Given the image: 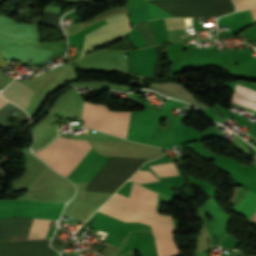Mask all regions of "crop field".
I'll return each mask as SVG.
<instances>
[{"label":"crop field","mask_w":256,"mask_h":256,"mask_svg":"<svg viewBox=\"0 0 256 256\" xmlns=\"http://www.w3.org/2000/svg\"><path fill=\"white\" fill-rule=\"evenodd\" d=\"M106 21L108 22L107 24L85 35V43L81 55L106 42L122 38L131 30L127 13L111 17Z\"/></svg>","instance_id":"412701ff"},{"label":"crop field","mask_w":256,"mask_h":256,"mask_svg":"<svg viewBox=\"0 0 256 256\" xmlns=\"http://www.w3.org/2000/svg\"><path fill=\"white\" fill-rule=\"evenodd\" d=\"M50 240L0 243V256H53Z\"/></svg>","instance_id":"f4fd0767"},{"label":"crop field","mask_w":256,"mask_h":256,"mask_svg":"<svg viewBox=\"0 0 256 256\" xmlns=\"http://www.w3.org/2000/svg\"><path fill=\"white\" fill-rule=\"evenodd\" d=\"M251 12H252V15H253L254 22L256 23V8L251 9Z\"/></svg>","instance_id":"214f88e0"},{"label":"crop field","mask_w":256,"mask_h":256,"mask_svg":"<svg viewBox=\"0 0 256 256\" xmlns=\"http://www.w3.org/2000/svg\"><path fill=\"white\" fill-rule=\"evenodd\" d=\"M164 20L167 30L186 29L184 18H166Z\"/></svg>","instance_id":"cbeb9de0"},{"label":"crop field","mask_w":256,"mask_h":256,"mask_svg":"<svg viewBox=\"0 0 256 256\" xmlns=\"http://www.w3.org/2000/svg\"><path fill=\"white\" fill-rule=\"evenodd\" d=\"M33 91L18 81H13L2 92L3 96L14 102L20 107L26 109Z\"/></svg>","instance_id":"e52e79f7"},{"label":"crop field","mask_w":256,"mask_h":256,"mask_svg":"<svg viewBox=\"0 0 256 256\" xmlns=\"http://www.w3.org/2000/svg\"><path fill=\"white\" fill-rule=\"evenodd\" d=\"M234 94V93H233ZM240 97V96H239ZM235 95L232 96V100L231 102L233 103H236V104H239L245 108H248V109H251V110H254L256 111V104L252 103V102H249L247 100H244L242 98H239Z\"/></svg>","instance_id":"d9b57169"},{"label":"crop field","mask_w":256,"mask_h":256,"mask_svg":"<svg viewBox=\"0 0 256 256\" xmlns=\"http://www.w3.org/2000/svg\"><path fill=\"white\" fill-rule=\"evenodd\" d=\"M249 190V189H248ZM247 190V191H248ZM253 192H251L250 190L247 192V194L242 198V200L237 204V206L234 208L236 210V212L238 213L239 210L242 208V206L245 204V202L248 200V198L251 196ZM256 212V193H253L252 196L249 198V200L246 202V204L243 206V208L240 210V214L244 215L245 217L249 218ZM239 214V215H240ZM251 220L256 222V213L252 216Z\"/></svg>","instance_id":"d8731c3e"},{"label":"crop field","mask_w":256,"mask_h":256,"mask_svg":"<svg viewBox=\"0 0 256 256\" xmlns=\"http://www.w3.org/2000/svg\"><path fill=\"white\" fill-rule=\"evenodd\" d=\"M157 197V193L133 183L130 198L115 193L107 203L172 226L171 215L156 213ZM107 203L98 212L123 221H139L149 224L155 237H173V226L169 227Z\"/></svg>","instance_id":"8a807250"},{"label":"crop field","mask_w":256,"mask_h":256,"mask_svg":"<svg viewBox=\"0 0 256 256\" xmlns=\"http://www.w3.org/2000/svg\"><path fill=\"white\" fill-rule=\"evenodd\" d=\"M51 220L13 218L11 240L46 238Z\"/></svg>","instance_id":"dd49c442"},{"label":"crop field","mask_w":256,"mask_h":256,"mask_svg":"<svg viewBox=\"0 0 256 256\" xmlns=\"http://www.w3.org/2000/svg\"><path fill=\"white\" fill-rule=\"evenodd\" d=\"M149 167L157 173L158 177L179 174L173 162L151 165Z\"/></svg>","instance_id":"3316defc"},{"label":"crop field","mask_w":256,"mask_h":256,"mask_svg":"<svg viewBox=\"0 0 256 256\" xmlns=\"http://www.w3.org/2000/svg\"><path fill=\"white\" fill-rule=\"evenodd\" d=\"M60 137L43 150L34 152V154L67 177L92 146L87 140Z\"/></svg>","instance_id":"ac0d7876"},{"label":"crop field","mask_w":256,"mask_h":256,"mask_svg":"<svg viewBox=\"0 0 256 256\" xmlns=\"http://www.w3.org/2000/svg\"><path fill=\"white\" fill-rule=\"evenodd\" d=\"M238 11L242 9L256 7V0H234Z\"/></svg>","instance_id":"733c2abd"},{"label":"crop field","mask_w":256,"mask_h":256,"mask_svg":"<svg viewBox=\"0 0 256 256\" xmlns=\"http://www.w3.org/2000/svg\"><path fill=\"white\" fill-rule=\"evenodd\" d=\"M158 256H175L178 249L174 238H154Z\"/></svg>","instance_id":"5a996713"},{"label":"crop field","mask_w":256,"mask_h":256,"mask_svg":"<svg viewBox=\"0 0 256 256\" xmlns=\"http://www.w3.org/2000/svg\"><path fill=\"white\" fill-rule=\"evenodd\" d=\"M60 16H61V14L43 12L42 19L40 22L43 24H47V25L62 29V27L59 23Z\"/></svg>","instance_id":"d1516ede"},{"label":"crop field","mask_w":256,"mask_h":256,"mask_svg":"<svg viewBox=\"0 0 256 256\" xmlns=\"http://www.w3.org/2000/svg\"><path fill=\"white\" fill-rule=\"evenodd\" d=\"M129 180L135 181L137 183H145L158 181L159 179H157L149 171L138 170Z\"/></svg>","instance_id":"28ad6ade"},{"label":"crop field","mask_w":256,"mask_h":256,"mask_svg":"<svg viewBox=\"0 0 256 256\" xmlns=\"http://www.w3.org/2000/svg\"><path fill=\"white\" fill-rule=\"evenodd\" d=\"M130 113L109 112L104 105L84 102L81 119L84 120V126L86 127L125 138Z\"/></svg>","instance_id":"34b2d1b8"},{"label":"crop field","mask_w":256,"mask_h":256,"mask_svg":"<svg viewBox=\"0 0 256 256\" xmlns=\"http://www.w3.org/2000/svg\"><path fill=\"white\" fill-rule=\"evenodd\" d=\"M253 163H255V164H256V158L254 159Z\"/></svg>","instance_id":"92a150f3"},{"label":"crop field","mask_w":256,"mask_h":256,"mask_svg":"<svg viewBox=\"0 0 256 256\" xmlns=\"http://www.w3.org/2000/svg\"><path fill=\"white\" fill-rule=\"evenodd\" d=\"M7 65H9V64L2 59V55L0 53V66L3 68L5 66H7Z\"/></svg>","instance_id":"4a817a6b"},{"label":"crop field","mask_w":256,"mask_h":256,"mask_svg":"<svg viewBox=\"0 0 256 256\" xmlns=\"http://www.w3.org/2000/svg\"><path fill=\"white\" fill-rule=\"evenodd\" d=\"M7 103H9V102L0 97V107L4 106Z\"/></svg>","instance_id":"bc2a9ffb"},{"label":"crop field","mask_w":256,"mask_h":256,"mask_svg":"<svg viewBox=\"0 0 256 256\" xmlns=\"http://www.w3.org/2000/svg\"><path fill=\"white\" fill-rule=\"evenodd\" d=\"M234 93L256 102V92L239 84L236 85Z\"/></svg>","instance_id":"5142ce71"},{"label":"crop field","mask_w":256,"mask_h":256,"mask_svg":"<svg viewBox=\"0 0 256 256\" xmlns=\"http://www.w3.org/2000/svg\"><path fill=\"white\" fill-rule=\"evenodd\" d=\"M11 218H0V241H9Z\"/></svg>","instance_id":"22f410ed"}]
</instances>
